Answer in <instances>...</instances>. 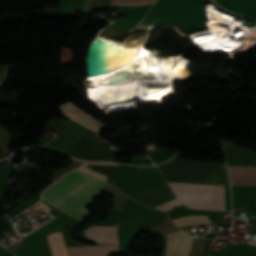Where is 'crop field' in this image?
Returning <instances> with one entry per match:
<instances>
[{
    "label": "crop field",
    "instance_id": "1",
    "mask_svg": "<svg viewBox=\"0 0 256 256\" xmlns=\"http://www.w3.org/2000/svg\"><path fill=\"white\" fill-rule=\"evenodd\" d=\"M90 178H92V176L74 170L67 173L63 178L51 185L42 194V197L55 207ZM108 185L109 184L107 182L93 177L56 206V208L78 220H81L83 217L91 213L85 207L91 203L94 196L100 193Z\"/></svg>",
    "mask_w": 256,
    "mask_h": 256
},
{
    "label": "crop field",
    "instance_id": "2",
    "mask_svg": "<svg viewBox=\"0 0 256 256\" xmlns=\"http://www.w3.org/2000/svg\"><path fill=\"white\" fill-rule=\"evenodd\" d=\"M176 197L186 206L224 210L223 186L168 182Z\"/></svg>",
    "mask_w": 256,
    "mask_h": 256
},
{
    "label": "crop field",
    "instance_id": "3",
    "mask_svg": "<svg viewBox=\"0 0 256 256\" xmlns=\"http://www.w3.org/2000/svg\"><path fill=\"white\" fill-rule=\"evenodd\" d=\"M88 239L97 243H118L115 227H88ZM69 256H107L119 252L118 245L67 247Z\"/></svg>",
    "mask_w": 256,
    "mask_h": 256
},
{
    "label": "crop field",
    "instance_id": "4",
    "mask_svg": "<svg viewBox=\"0 0 256 256\" xmlns=\"http://www.w3.org/2000/svg\"><path fill=\"white\" fill-rule=\"evenodd\" d=\"M96 137L95 134L89 131L67 154L87 160L112 161L117 154L93 142Z\"/></svg>",
    "mask_w": 256,
    "mask_h": 256
},
{
    "label": "crop field",
    "instance_id": "5",
    "mask_svg": "<svg viewBox=\"0 0 256 256\" xmlns=\"http://www.w3.org/2000/svg\"><path fill=\"white\" fill-rule=\"evenodd\" d=\"M65 116H67L69 119L77 122L78 124L86 127L87 129L98 132L100 129H102L104 124L99 122L98 120L94 119L90 115L83 112L81 109L73 105L71 102H66L65 104L58 107Z\"/></svg>",
    "mask_w": 256,
    "mask_h": 256
},
{
    "label": "crop field",
    "instance_id": "6",
    "mask_svg": "<svg viewBox=\"0 0 256 256\" xmlns=\"http://www.w3.org/2000/svg\"><path fill=\"white\" fill-rule=\"evenodd\" d=\"M152 5V4H151ZM151 5L137 7H121L123 13L129 15L128 19L142 18Z\"/></svg>",
    "mask_w": 256,
    "mask_h": 256
},
{
    "label": "crop field",
    "instance_id": "7",
    "mask_svg": "<svg viewBox=\"0 0 256 256\" xmlns=\"http://www.w3.org/2000/svg\"><path fill=\"white\" fill-rule=\"evenodd\" d=\"M155 0H110V6L112 5H139L145 3H152Z\"/></svg>",
    "mask_w": 256,
    "mask_h": 256
},
{
    "label": "crop field",
    "instance_id": "8",
    "mask_svg": "<svg viewBox=\"0 0 256 256\" xmlns=\"http://www.w3.org/2000/svg\"><path fill=\"white\" fill-rule=\"evenodd\" d=\"M179 205H181V203H180L177 199H175V200H173V201H170V202H168V203L162 204V205L157 206V207H155V208H157V209H159V210L165 212V211H167V210H169V209H172V208H174V207H177V206H179Z\"/></svg>",
    "mask_w": 256,
    "mask_h": 256
},
{
    "label": "crop field",
    "instance_id": "9",
    "mask_svg": "<svg viewBox=\"0 0 256 256\" xmlns=\"http://www.w3.org/2000/svg\"><path fill=\"white\" fill-rule=\"evenodd\" d=\"M248 243H249V244H254V245H256V241H251V240H249Z\"/></svg>",
    "mask_w": 256,
    "mask_h": 256
},
{
    "label": "crop field",
    "instance_id": "10",
    "mask_svg": "<svg viewBox=\"0 0 256 256\" xmlns=\"http://www.w3.org/2000/svg\"><path fill=\"white\" fill-rule=\"evenodd\" d=\"M2 161H3V160L0 161V169H1Z\"/></svg>",
    "mask_w": 256,
    "mask_h": 256
},
{
    "label": "crop field",
    "instance_id": "11",
    "mask_svg": "<svg viewBox=\"0 0 256 256\" xmlns=\"http://www.w3.org/2000/svg\"><path fill=\"white\" fill-rule=\"evenodd\" d=\"M56 139H58V138H56Z\"/></svg>",
    "mask_w": 256,
    "mask_h": 256
}]
</instances>
